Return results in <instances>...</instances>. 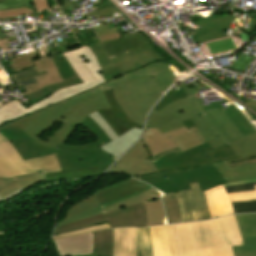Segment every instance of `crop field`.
I'll use <instances>...</instances> for the list:
<instances>
[{
  "label": "crop field",
  "mask_w": 256,
  "mask_h": 256,
  "mask_svg": "<svg viewBox=\"0 0 256 256\" xmlns=\"http://www.w3.org/2000/svg\"><path fill=\"white\" fill-rule=\"evenodd\" d=\"M174 76L166 63L156 62L15 123L35 142L56 148L58 143H64L69 138L90 113L110 108L103 91L114 87V95L121 108L131 119L143 125L147 112L162 93L177 81ZM56 121L63 122V125L50 139L43 141L36 136Z\"/></svg>",
  "instance_id": "8a807250"
},
{
  "label": "crop field",
  "mask_w": 256,
  "mask_h": 256,
  "mask_svg": "<svg viewBox=\"0 0 256 256\" xmlns=\"http://www.w3.org/2000/svg\"><path fill=\"white\" fill-rule=\"evenodd\" d=\"M183 124L185 127L164 134L157 128H146L143 138L107 173L137 176L214 164L228 183L256 178V163L230 168L227 160L236 156L229 145L211 151L191 119Z\"/></svg>",
  "instance_id": "ac0d7876"
},
{
  "label": "crop field",
  "mask_w": 256,
  "mask_h": 256,
  "mask_svg": "<svg viewBox=\"0 0 256 256\" xmlns=\"http://www.w3.org/2000/svg\"><path fill=\"white\" fill-rule=\"evenodd\" d=\"M182 85L191 98L172 103L159 112L153 110L146 127H157L164 133L183 127L181 121L191 118L211 150L229 144L237 158L256 152V130L236 107L229 105L223 111L218 105L223 101L204 106L198 91L200 85L190 89Z\"/></svg>",
  "instance_id": "34b2d1b8"
},
{
  "label": "crop field",
  "mask_w": 256,
  "mask_h": 256,
  "mask_svg": "<svg viewBox=\"0 0 256 256\" xmlns=\"http://www.w3.org/2000/svg\"><path fill=\"white\" fill-rule=\"evenodd\" d=\"M81 124L99 140L87 145L58 144L56 150L35 143L14 122L1 127L0 132L10 141L23 160L56 154L62 170L110 165L115 158L98 148L110 141L109 137L89 116Z\"/></svg>",
  "instance_id": "412701ff"
},
{
  "label": "crop field",
  "mask_w": 256,
  "mask_h": 256,
  "mask_svg": "<svg viewBox=\"0 0 256 256\" xmlns=\"http://www.w3.org/2000/svg\"><path fill=\"white\" fill-rule=\"evenodd\" d=\"M180 256H233L231 246L243 245L235 217L176 224Z\"/></svg>",
  "instance_id": "f4fd0767"
},
{
  "label": "crop field",
  "mask_w": 256,
  "mask_h": 256,
  "mask_svg": "<svg viewBox=\"0 0 256 256\" xmlns=\"http://www.w3.org/2000/svg\"><path fill=\"white\" fill-rule=\"evenodd\" d=\"M89 46L103 70L101 75L105 81L153 61H167L141 33Z\"/></svg>",
  "instance_id": "dd49c442"
},
{
  "label": "crop field",
  "mask_w": 256,
  "mask_h": 256,
  "mask_svg": "<svg viewBox=\"0 0 256 256\" xmlns=\"http://www.w3.org/2000/svg\"><path fill=\"white\" fill-rule=\"evenodd\" d=\"M62 54L76 71L83 83L57 90L47 98L33 104L27 109L19 102L18 99L5 105L0 100V124L6 123L17 117H21L27 113L66 99L105 82L99 73L101 72V69L88 45Z\"/></svg>",
  "instance_id": "e52e79f7"
},
{
  "label": "crop field",
  "mask_w": 256,
  "mask_h": 256,
  "mask_svg": "<svg viewBox=\"0 0 256 256\" xmlns=\"http://www.w3.org/2000/svg\"><path fill=\"white\" fill-rule=\"evenodd\" d=\"M105 222L109 223L111 229L94 233V254L98 256H112V228L147 226L144 202L107 214L103 213L69 224L58 226L56 228L55 234L77 230Z\"/></svg>",
  "instance_id": "d8731c3e"
},
{
  "label": "crop field",
  "mask_w": 256,
  "mask_h": 256,
  "mask_svg": "<svg viewBox=\"0 0 256 256\" xmlns=\"http://www.w3.org/2000/svg\"><path fill=\"white\" fill-rule=\"evenodd\" d=\"M138 179L150 183L165 194L189 190L191 189L189 183L193 182H198L201 192L227 183L214 165L152 173L140 176Z\"/></svg>",
  "instance_id": "5a996713"
},
{
  "label": "crop field",
  "mask_w": 256,
  "mask_h": 256,
  "mask_svg": "<svg viewBox=\"0 0 256 256\" xmlns=\"http://www.w3.org/2000/svg\"><path fill=\"white\" fill-rule=\"evenodd\" d=\"M39 170L46 173L61 169L55 155L23 161L9 141L0 134V176L9 178Z\"/></svg>",
  "instance_id": "3316defc"
},
{
  "label": "crop field",
  "mask_w": 256,
  "mask_h": 256,
  "mask_svg": "<svg viewBox=\"0 0 256 256\" xmlns=\"http://www.w3.org/2000/svg\"><path fill=\"white\" fill-rule=\"evenodd\" d=\"M163 195L160 191L152 188L148 191H145L143 193L137 194L133 197H130L126 200H123L119 203H116L112 206H109L105 209L102 208L101 204L99 203L98 199L95 197L94 194L72 204L70 208L68 209L65 217L57 222L58 225H62L68 222H72L75 220H79L82 218H86L92 215H96L99 213H107L113 210L120 209L125 206L137 204L141 201H148V200H154L160 198V196Z\"/></svg>",
  "instance_id": "28ad6ade"
},
{
  "label": "crop field",
  "mask_w": 256,
  "mask_h": 256,
  "mask_svg": "<svg viewBox=\"0 0 256 256\" xmlns=\"http://www.w3.org/2000/svg\"><path fill=\"white\" fill-rule=\"evenodd\" d=\"M192 190L176 193L181 208L182 222L210 219L204 192L198 184H190Z\"/></svg>",
  "instance_id": "d1516ede"
},
{
  "label": "crop field",
  "mask_w": 256,
  "mask_h": 256,
  "mask_svg": "<svg viewBox=\"0 0 256 256\" xmlns=\"http://www.w3.org/2000/svg\"><path fill=\"white\" fill-rule=\"evenodd\" d=\"M205 195L211 218L232 214L233 210L230 202L256 199V191L226 194L222 185L205 191Z\"/></svg>",
  "instance_id": "22f410ed"
},
{
  "label": "crop field",
  "mask_w": 256,
  "mask_h": 256,
  "mask_svg": "<svg viewBox=\"0 0 256 256\" xmlns=\"http://www.w3.org/2000/svg\"><path fill=\"white\" fill-rule=\"evenodd\" d=\"M150 188H152L150 185L130 178L116 185L95 190L93 193L105 208Z\"/></svg>",
  "instance_id": "cbeb9de0"
},
{
  "label": "crop field",
  "mask_w": 256,
  "mask_h": 256,
  "mask_svg": "<svg viewBox=\"0 0 256 256\" xmlns=\"http://www.w3.org/2000/svg\"><path fill=\"white\" fill-rule=\"evenodd\" d=\"M89 116L107 133L112 140L99 148L114 156L116 159L137 140L141 132L140 129L135 127L118 138L109 123L105 121L97 112L92 113Z\"/></svg>",
  "instance_id": "5142ce71"
},
{
  "label": "crop field",
  "mask_w": 256,
  "mask_h": 256,
  "mask_svg": "<svg viewBox=\"0 0 256 256\" xmlns=\"http://www.w3.org/2000/svg\"><path fill=\"white\" fill-rule=\"evenodd\" d=\"M104 93L108 103L112 108L107 110L102 109L98 111V113L111 124L118 137L134 128V126L142 129V126L131 120L117 104L114 99L113 88L105 91Z\"/></svg>",
  "instance_id": "d9b57169"
},
{
  "label": "crop field",
  "mask_w": 256,
  "mask_h": 256,
  "mask_svg": "<svg viewBox=\"0 0 256 256\" xmlns=\"http://www.w3.org/2000/svg\"><path fill=\"white\" fill-rule=\"evenodd\" d=\"M231 18L232 16L194 22L200 27L198 31L190 32L188 26H185L186 29L184 30H186L188 36L191 37L194 44L222 38L225 36L229 28Z\"/></svg>",
  "instance_id": "733c2abd"
},
{
  "label": "crop field",
  "mask_w": 256,
  "mask_h": 256,
  "mask_svg": "<svg viewBox=\"0 0 256 256\" xmlns=\"http://www.w3.org/2000/svg\"><path fill=\"white\" fill-rule=\"evenodd\" d=\"M244 246L232 247L235 256H256V213L235 215Z\"/></svg>",
  "instance_id": "4a817a6b"
},
{
  "label": "crop field",
  "mask_w": 256,
  "mask_h": 256,
  "mask_svg": "<svg viewBox=\"0 0 256 256\" xmlns=\"http://www.w3.org/2000/svg\"><path fill=\"white\" fill-rule=\"evenodd\" d=\"M40 59L33 60L36 69L40 72L47 71L48 74L34 77L37 84L26 86L27 92L22 93V95L34 92L41 88L47 87L54 83L62 81L60 74L58 73L51 57L42 58L35 44L32 45Z\"/></svg>",
  "instance_id": "bc2a9ffb"
},
{
  "label": "crop field",
  "mask_w": 256,
  "mask_h": 256,
  "mask_svg": "<svg viewBox=\"0 0 256 256\" xmlns=\"http://www.w3.org/2000/svg\"><path fill=\"white\" fill-rule=\"evenodd\" d=\"M60 256L93 254V233L53 240Z\"/></svg>",
  "instance_id": "214f88e0"
},
{
  "label": "crop field",
  "mask_w": 256,
  "mask_h": 256,
  "mask_svg": "<svg viewBox=\"0 0 256 256\" xmlns=\"http://www.w3.org/2000/svg\"><path fill=\"white\" fill-rule=\"evenodd\" d=\"M154 256H178L173 225L151 227Z\"/></svg>",
  "instance_id": "92a150f3"
},
{
  "label": "crop field",
  "mask_w": 256,
  "mask_h": 256,
  "mask_svg": "<svg viewBox=\"0 0 256 256\" xmlns=\"http://www.w3.org/2000/svg\"><path fill=\"white\" fill-rule=\"evenodd\" d=\"M51 57L64 81L44 88L42 90L36 91L34 93L24 95L32 104L48 96L57 89L81 83V80L78 78V76L66 60L58 62L54 55H52Z\"/></svg>",
  "instance_id": "dafd665d"
},
{
  "label": "crop field",
  "mask_w": 256,
  "mask_h": 256,
  "mask_svg": "<svg viewBox=\"0 0 256 256\" xmlns=\"http://www.w3.org/2000/svg\"><path fill=\"white\" fill-rule=\"evenodd\" d=\"M113 256H135V228L114 229Z\"/></svg>",
  "instance_id": "00972430"
},
{
  "label": "crop field",
  "mask_w": 256,
  "mask_h": 256,
  "mask_svg": "<svg viewBox=\"0 0 256 256\" xmlns=\"http://www.w3.org/2000/svg\"><path fill=\"white\" fill-rule=\"evenodd\" d=\"M43 180L44 178L40 171L37 173L18 176L10 179H3L0 177V196L2 198L20 188H22L24 191L33 184Z\"/></svg>",
  "instance_id": "a9b5d70f"
},
{
  "label": "crop field",
  "mask_w": 256,
  "mask_h": 256,
  "mask_svg": "<svg viewBox=\"0 0 256 256\" xmlns=\"http://www.w3.org/2000/svg\"><path fill=\"white\" fill-rule=\"evenodd\" d=\"M108 166L72 169L44 174L46 181L75 179L80 177L101 175Z\"/></svg>",
  "instance_id": "4177f3b9"
},
{
  "label": "crop field",
  "mask_w": 256,
  "mask_h": 256,
  "mask_svg": "<svg viewBox=\"0 0 256 256\" xmlns=\"http://www.w3.org/2000/svg\"><path fill=\"white\" fill-rule=\"evenodd\" d=\"M136 256H153L150 227L136 228Z\"/></svg>",
  "instance_id": "730fd06b"
},
{
  "label": "crop field",
  "mask_w": 256,
  "mask_h": 256,
  "mask_svg": "<svg viewBox=\"0 0 256 256\" xmlns=\"http://www.w3.org/2000/svg\"><path fill=\"white\" fill-rule=\"evenodd\" d=\"M148 226L166 224L165 214L160 199L145 202Z\"/></svg>",
  "instance_id": "eef30255"
},
{
  "label": "crop field",
  "mask_w": 256,
  "mask_h": 256,
  "mask_svg": "<svg viewBox=\"0 0 256 256\" xmlns=\"http://www.w3.org/2000/svg\"><path fill=\"white\" fill-rule=\"evenodd\" d=\"M165 206L168 224L181 222L179 204L175 193L162 196Z\"/></svg>",
  "instance_id": "ae1a2a85"
},
{
  "label": "crop field",
  "mask_w": 256,
  "mask_h": 256,
  "mask_svg": "<svg viewBox=\"0 0 256 256\" xmlns=\"http://www.w3.org/2000/svg\"><path fill=\"white\" fill-rule=\"evenodd\" d=\"M41 73V74H45ZM36 75H40L38 73V71L35 69V67L15 73V74H11V77L15 83V85L17 87H21V86H25V85H30V84H34L35 81L33 79L32 76H36Z\"/></svg>",
  "instance_id": "d3111659"
},
{
  "label": "crop field",
  "mask_w": 256,
  "mask_h": 256,
  "mask_svg": "<svg viewBox=\"0 0 256 256\" xmlns=\"http://www.w3.org/2000/svg\"><path fill=\"white\" fill-rule=\"evenodd\" d=\"M38 58V56L36 55L35 51L28 53L26 55H23L21 57H17L14 59H11V63L13 64L16 72L33 67L34 64L32 63L31 60Z\"/></svg>",
  "instance_id": "750c4746"
},
{
  "label": "crop field",
  "mask_w": 256,
  "mask_h": 256,
  "mask_svg": "<svg viewBox=\"0 0 256 256\" xmlns=\"http://www.w3.org/2000/svg\"><path fill=\"white\" fill-rule=\"evenodd\" d=\"M235 213L256 212V200L250 202L231 203Z\"/></svg>",
  "instance_id": "bd1437ed"
},
{
  "label": "crop field",
  "mask_w": 256,
  "mask_h": 256,
  "mask_svg": "<svg viewBox=\"0 0 256 256\" xmlns=\"http://www.w3.org/2000/svg\"><path fill=\"white\" fill-rule=\"evenodd\" d=\"M108 228H110V227H109L108 223H106V224H102V225H98V226H94V227H90V228H86V229H82V230H77V231H72V232L56 235V236H54L53 239L72 236V235H78V234H84V233H90V232H96V231H100V230H104V229H108Z\"/></svg>",
  "instance_id": "1d83c4d3"
},
{
  "label": "crop field",
  "mask_w": 256,
  "mask_h": 256,
  "mask_svg": "<svg viewBox=\"0 0 256 256\" xmlns=\"http://www.w3.org/2000/svg\"><path fill=\"white\" fill-rule=\"evenodd\" d=\"M6 2L0 3V10L16 9L31 7L29 0H5Z\"/></svg>",
  "instance_id": "120bbe31"
},
{
  "label": "crop field",
  "mask_w": 256,
  "mask_h": 256,
  "mask_svg": "<svg viewBox=\"0 0 256 256\" xmlns=\"http://www.w3.org/2000/svg\"><path fill=\"white\" fill-rule=\"evenodd\" d=\"M27 14H34V12L32 11V8L0 11V18L11 17V16H19V15H27Z\"/></svg>",
  "instance_id": "d32e631a"
},
{
  "label": "crop field",
  "mask_w": 256,
  "mask_h": 256,
  "mask_svg": "<svg viewBox=\"0 0 256 256\" xmlns=\"http://www.w3.org/2000/svg\"><path fill=\"white\" fill-rule=\"evenodd\" d=\"M254 185L255 183H249V184H242V185H233V186H226L224 187L227 193L232 192H242V191H251L255 190Z\"/></svg>",
  "instance_id": "5866460e"
},
{
  "label": "crop field",
  "mask_w": 256,
  "mask_h": 256,
  "mask_svg": "<svg viewBox=\"0 0 256 256\" xmlns=\"http://www.w3.org/2000/svg\"><path fill=\"white\" fill-rule=\"evenodd\" d=\"M230 166H238V165H245V164H249V163H254L256 162V153L249 155L245 158H239V159H235V160H230L228 161Z\"/></svg>",
  "instance_id": "028f5c9d"
},
{
  "label": "crop field",
  "mask_w": 256,
  "mask_h": 256,
  "mask_svg": "<svg viewBox=\"0 0 256 256\" xmlns=\"http://www.w3.org/2000/svg\"><path fill=\"white\" fill-rule=\"evenodd\" d=\"M112 13H116V12L113 9L108 8V9H104V10L88 13L87 15H88V17H90L92 15H94V16L96 15V17H100V16L112 14Z\"/></svg>",
  "instance_id": "e1f06a70"
},
{
  "label": "crop field",
  "mask_w": 256,
  "mask_h": 256,
  "mask_svg": "<svg viewBox=\"0 0 256 256\" xmlns=\"http://www.w3.org/2000/svg\"><path fill=\"white\" fill-rule=\"evenodd\" d=\"M98 38L100 39L101 42H103V41H109V40H113V39H116V38H120V35H119V33H116V34L101 36V37H98Z\"/></svg>",
  "instance_id": "0bd39190"
},
{
  "label": "crop field",
  "mask_w": 256,
  "mask_h": 256,
  "mask_svg": "<svg viewBox=\"0 0 256 256\" xmlns=\"http://www.w3.org/2000/svg\"><path fill=\"white\" fill-rule=\"evenodd\" d=\"M233 104L236 105L240 110H242L246 114V116L250 119V121H253V120L256 121V118L254 116H252L250 113H248L242 107H240L238 104H236L235 102Z\"/></svg>",
  "instance_id": "b80d0937"
},
{
  "label": "crop field",
  "mask_w": 256,
  "mask_h": 256,
  "mask_svg": "<svg viewBox=\"0 0 256 256\" xmlns=\"http://www.w3.org/2000/svg\"><path fill=\"white\" fill-rule=\"evenodd\" d=\"M20 192H23V191L20 189V190L14 192V193H12V194H10V195H8V196L2 198V199L0 198V201H2V200L6 201V200H8V199L14 197L15 195H17V194L20 193Z\"/></svg>",
  "instance_id": "c035e120"
},
{
  "label": "crop field",
  "mask_w": 256,
  "mask_h": 256,
  "mask_svg": "<svg viewBox=\"0 0 256 256\" xmlns=\"http://www.w3.org/2000/svg\"><path fill=\"white\" fill-rule=\"evenodd\" d=\"M255 181H256V179H253V180H246V181L233 182V183H229V184H226V185L242 184V183L255 182ZM224 186H225V185H224Z\"/></svg>",
  "instance_id": "c21b1889"
},
{
  "label": "crop field",
  "mask_w": 256,
  "mask_h": 256,
  "mask_svg": "<svg viewBox=\"0 0 256 256\" xmlns=\"http://www.w3.org/2000/svg\"><path fill=\"white\" fill-rule=\"evenodd\" d=\"M247 105L256 110V102L247 103Z\"/></svg>",
  "instance_id": "03da06ac"
},
{
  "label": "crop field",
  "mask_w": 256,
  "mask_h": 256,
  "mask_svg": "<svg viewBox=\"0 0 256 256\" xmlns=\"http://www.w3.org/2000/svg\"><path fill=\"white\" fill-rule=\"evenodd\" d=\"M0 2H4V0H0Z\"/></svg>",
  "instance_id": "b54c1fbb"
}]
</instances>
